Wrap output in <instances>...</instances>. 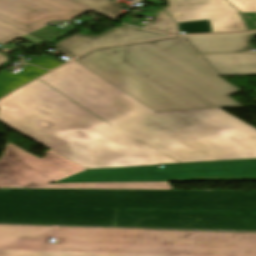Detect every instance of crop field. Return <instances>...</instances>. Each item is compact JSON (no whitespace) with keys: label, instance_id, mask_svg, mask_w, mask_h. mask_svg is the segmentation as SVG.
Segmentation results:
<instances>
[{"label":"crop field","instance_id":"crop-field-1","mask_svg":"<svg viewBox=\"0 0 256 256\" xmlns=\"http://www.w3.org/2000/svg\"><path fill=\"white\" fill-rule=\"evenodd\" d=\"M0 222L256 231V191L0 189Z\"/></svg>","mask_w":256,"mask_h":256},{"label":"crop field","instance_id":"crop-field-2","mask_svg":"<svg viewBox=\"0 0 256 256\" xmlns=\"http://www.w3.org/2000/svg\"><path fill=\"white\" fill-rule=\"evenodd\" d=\"M39 79L181 162L256 158V129L221 109L156 113L74 60Z\"/></svg>","mask_w":256,"mask_h":256},{"label":"crop field","instance_id":"crop-field-3","mask_svg":"<svg viewBox=\"0 0 256 256\" xmlns=\"http://www.w3.org/2000/svg\"><path fill=\"white\" fill-rule=\"evenodd\" d=\"M0 122L87 169L178 162L38 79L0 100Z\"/></svg>","mask_w":256,"mask_h":256},{"label":"crop field","instance_id":"crop-field-4","mask_svg":"<svg viewBox=\"0 0 256 256\" xmlns=\"http://www.w3.org/2000/svg\"><path fill=\"white\" fill-rule=\"evenodd\" d=\"M75 60L156 112L241 106L228 97L239 90L179 37L95 49Z\"/></svg>","mask_w":256,"mask_h":256},{"label":"crop field","instance_id":"crop-field-5","mask_svg":"<svg viewBox=\"0 0 256 256\" xmlns=\"http://www.w3.org/2000/svg\"><path fill=\"white\" fill-rule=\"evenodd\" d=\"M0 225V256H242L246 233Z\"/></svg>","mask_w":256,"mask_h":256},{"label":"crop field","instance_id":"crop-field-6","mask_svg":"<svg viewBox=\"0 0 256 256\" xmlns=\"http://www.w3.org/2000/svg\"><path fill=\"white\" fill-rule=\"evenodd\" d=\"M38 158L10 143L0 158V188L172 189L169 182L50 184L86 169L48 150Z\"/></svg>","mask_w":256,"mask_h":256},{"label":"crop field","instance_id":"crop-field-7","mask_svg":"<svg viewBox=\"0 0 256 256\" xmlns=\"http://www.w3.org/2000/svg\"><path fill=\"white\" fill-rule=\"evenodd\" d=\"M86 170L55 183L256 180V159Z\"/></svg>","mask_w":256,"mask_h":256},{"label":"crop field","instance_id":"crop-field-8","mask_svg":"<svg viewBox=\"0 0 256 256\" xmlns=\"http://www.w3.org/2000/svg\"><path fill=\"white\" fill-rule=\"evenodd\" d=\"M87 11L65 0H0V20L29 33L49 21L72 19Z\"/></svg>","mask_w":256,"mask_h":256},{"label":"crop field","instance_id":"crop-field-9","mask_svg":"<svg viewBox=\"0 0 256 256\" xmlns=\"http://www.w3.org/2000/svg\"><path fill=\"white\" fill-rule=\"evenodd\" d=\"M176 22L209 19L213 32L247 30L238 10L225 0H168Z\"/></svg>","mask_w":256,"mask_h":256},{"label":"crop field","instance_id":"crop-field-10","mask_svg":"<svg viewBox=\"0 0 256 256\" xmlns=\"http://www.w3.org/2000/svg\"><path fill=\"white\" fill-rule=\"evenodd\" d=\"M161 37H166V35L125 26L96 37L74 34L58 43L56 47L71 57H76L77 55L95 47L137 42Z\"/></svg>","mask_w":256,"mask_h":256},{"label":"crop field","instance_id":"crop-field-11","mask_svg":"<svg viewBox=\"0 0 256 256\" xmlns=\"http://www.w3.org/2000/svg\"><path fill=\"white\" fill-rule=\"evenodd\" d=\"M254 33L215 34L181 37L196 53H228L253 49Z\"/></svg>","mask_w":256,"mask_h":256},{"label":"crop field","instance_id":"crop-field-12","mask_svg":"<svg viewBox=\"0 0 256 256\" xmlns=\"http://www.w3.org/2000/svg\"><path fill=\"white\" fill-rule=\"evenodd\" d=\"M198 56L216 75L256 74V53Z\"/></svg>","mask_w":256,"mask_h":256},{"label":"crop field","instance_id":"crop-field-13","mask_svg":"<svg viewBox=\"0 0 256 256\" xmlns=\"http://www.w3.org/2000/svg\"><path fill=\"white\" fill-rule=\"evenodd\" d=\"M47 71L36 68L34 66H27L25 69L14 75L9 72L0 71V97L7 94L16 87L46 73Z\"/></svg>","mask_w":256,"mask_h":256},{"label":"crop field","instance_id":"crop-field-14","mask_svg":"<svg viewBox=\"0 0 256 256\" xmlns=\"http://www.w3.org/2000/svg\"><path fill=\"white\" fill-rule=\"evenodd\" d=\"M76 3L84 5L88 8L96 10L100 13H103L109 17H115L122 12H120L119 8L124 6L119 3L112 2V0H72ZM153 4L161 3L158 0H147Z\"/></svg>","mask_w":256,"mask_h":256},{"label":"crop field","instance_id":"crop-field-15","mask_svg":"<svg viewBox=\"0 0 256 256\" xmlns=\"http://www.w3.org/2000/svg\"><path fill=\"white\" fill-rule=\"evenodd\" d=\"M148 17L155 18L153 23L148 22L145 28L169 34H177V25L163 10L151 8Z\"/></svg>","mask_w":256,"mask_h":256},{"label":"crop field","instance_id":"crop-field-16","mask_svg":"<svg viewBox=\"0 0 256 256\" xmlns=\"http://www.w3.org/2000/svg\"><path fill=\"white\" fill-rule=\"evenodd\" d=\"M6 23V22H5ZM3 22L0 21V44L3 45L6 42L17 38V37H21L24 36L26 34H29L25 31H22L20 29H17L13 26H10L8 24H5ZM8 57L6 56H2L0 55V65L4 62H6Z\"/></svg>","mask_w":256,"mask_h":256},{"label":"crop field","instance_id":"crop-field-17","mask_svg":"<svg viewBox=\"0 0 256 256\" xmlns=\"http://www.w3.org/2000/svg\"><path fill=\"white\" fill-rule=\"evenodd\" d=\"M179 24V31H185L186 34L212 32L208 20L182 22Z\"/></svg>","mask_w":256,"mask_h":256},{"label":"crop field","instance_id":"crop-field-18","mask_svg":"<svg viewBox=\"0 0 256 256\" xmlns=\"http://www.w3.org/2000/svg\"><path fill=\"white\" fill-rule=\"evenodd\" d=\"M242 12H256V0H228Z\"/></svg>","mask_w":256,"mask_h":256},{"label":"crop field","instance_id":"crop-field-19","mask_svg":"<svg viewBox=\"0 0 256 256\" xmlns=\"http://www.w3.org/2000/svg\"><path fill=\"white\" fill-rule=\"evenodd\" d=\"M243 256H256V233H247Z\"/></svg>","mask_w":256,"mask_h":256},{"label":"crop field","instance_id":"crop-field-20","mask_svg":"<svg viewBox=\"0 0 256 256\" xmlns=\"http://www.w3.org/2000/svg\"><path fill=\"white\" fill-rule=\"evenodd\" d=\"M61 64L62 63L55 61L53 59H50L46 56L42 57L41 59H39L35 63H33V65H37V66L44 67L47 69H53Z\"/></svg>","mask_w":256,"mask_h":256},{"label":"crop field","instance_id":"crop-field-21","mask_svg":"<svg viewBox=\"0 0 256 256\" xmlns=\"http://www.w3.org/2000/svg\"><path fill=\"white\" fill-rule=\"evenodd\" d=\"M60 32L61 31H59V30L49 26V27H47V28H45V29H43V30H41L39 32H36L34 34L39 35V36H41L43 38H46V39L50 40L53 37H55L56 35H58Z\"/></svg>","mask_w":256,"mask_h":256},{"label":"crop field","instance_id":"crop-field-22","mask_svg":"<svg viewBox=\"0 0 256 256\" xmlns=\"http://www.w3.org/2000/svg\"><path fill=\"white\" fill-rule=\"evenodd\" d=\"M127 23H129V24H131V25L143 27V25H139V24H140V20L135 19V18L129 17Z\"/></svg>","mask_w":256,"mask_h":256},{"label":"crop field","instance_id":"crop-field-23","mask_svg":"<svg viewBox=\"0 0 256 256\" xmlns=\"http://www.w3.org/2000/svg\"><path fill=\"white\" fill-rule=\"evenodd\" d=\"M23 39H25V40H27V41H29V42H32V43H34V44L41 43L40 41H39V42H36V39L31 38V37H26V38H23Z\"/></svg>","mask_w":256,"mask_h":256}]
</instances>
